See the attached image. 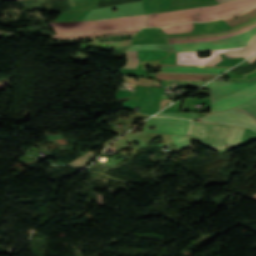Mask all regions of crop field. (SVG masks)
Segmentation results:
<instances>
[{"label":"crop field","instance_id":"5a996713","mask_svg":"<svg viewBox=\"0 0 256 256\" xmlns=\"http://www.w3.org/2000/svg\"><path fill=\"white\" fill-rule=\"evenodd\" d=\"M242 49V48H238ZM235 50V49H230ZM228 51V50H215L211 51V55L204 58H198L197 52H178V64H196V65H203L207 61L211 60L218 54ZM205 65V64H204Z\"/></svg>","mask_w":256,"mask_h":256},{"label":"crop field","instance_id":"f4fd0767","mask_svg":"<svg viewBox=\"0 0 256 256\" xmlns=\"http://www.w3.org/2000/svg\"><path fill=\"white\" fill-rule=\"evenodd\" d=\"M232 126L192 121L188 136H193L218 152H223Z\"/></svg>","mask_w":256,"mask_h":256},{"label":"crop field","instance_id":"ac0d7876","mask_svg":"<svg viewBox=\"0 0 256 256\" xmlns=\"http://www.w3.org/2000/svg\"><path fill=\"white\" fill-rule=\"evenodd\" d=\"M256 78L249 80V81H242V82H218V81H212L211 83L203 86L202 88H206V89H211V102H212V109L211 112L215 111V100L216 102H221V101H227V100H231L241 94H244L254 88H256ZM254 83V84H252ZM252 84V85H249ZM249 85V86H247ZM247 86V87H244ZM244 87V88H242ZM242 88V89H240ZM240 89V90H238ZM238 90V91H236ZM236 91V92H234ZM234 92V93H232ZM232 93V94H230ZM230 94V95H228ZM223 95H228V96H224V97H217V96H223ZM256 98V89L241 95L231 101H227V102H221V103H216V111L218 110H224V109H228L231 108L233 106L239 105L241 103L247 102L251 99Z\"/></svg>","mask_w":256,"mask_h":256},{"label":"crop field","instance_id":"00972430","mask_svg":"<svg viewBox=\"0 0 256 256\" xmlns=\"http://www.w3.org/2000/svg\"><path fill=\"white\" fill-rule=\"evenodd\" d=\"M122 134H118V135H116L115 137H113L111 140H109L108 142H106V145H105V147L106 146H108L110 143H112L115 139H117L119 136H121Z\"/></svg>","mask_w":256,"mask_h":256},{"label":"crop field","instance_id":"5142ce71","mask_svg":"<svg viewBox=\"0 0 256 256\" xmlns=\"http://www.w3.org/2000/svg\"><path fill=\"white\" fill-rule=\"evenodd\" d=\"M162 29L166 32V34L186 33L193 30V24L188 23V24H182V25H177V26H172V27L162 28Z\"/></svg>","mask_w":256,"mask_h":256},{"label":"crop field","instance_id":"3316defc","mask_svg":"<svg viewBox=\"0 0 256 256\" xmlns=\"http://www.w3.org/2000/svg\"><path fill=\"white\" fill-rule=\"evenodd\" d=\"M139 29H123V30H115V31H104V32H96V33H76V34H61L54 35L52 39H68V38H88V37H96L103 35H121V34H132L137 32Z\"/></svg>","mask_w":256,"mask_h":256},{"label":"crop field","instance_id":"d9b57169","mask_svg":"<svg viewBox=\"0 0 256 256\" xmlns=\"http://www.w3.org/2000/svg\"><path fill=\"white\" fill-rule=\"evenodd\" d=\"M132 40L122 41V42H110V43H89L81 45V48H93V47H103V46H122V45H131Z\"/></svg>","mask_w":256,"mask_h":256},{"label":"crop field","instance_id":"d1516ede","mask_svg":"<svg viewBox=\"0 0 256 256\" xmlns=\"http://www.w3.org/2000/svg\"><path fill=\"white\" fill-rule=\"evenodd\" d=\"M156 79L171 80H211L216 75H200V74H174V73H156Z\"/></svg>","mask_w":256,"mask_h":256},{"label":"crop field","instance_id":"d8731c3e","mask_svg":"<svg viewBox=\"0 0 256 256\" xmlns=\"http://www.w3.org/2000/svg\"><path fill=\"white\" fill-rule=\"evenodd\" d=\"M190 122L191 120L152 117L146 121L143 131L186 136ZM148 126L157 127V131L148 130Z\"/></svg>","mask_w":256,"mask_h":256},{"label":"crop field","instance_id":"8a807250","mask_svg":"<svg viewBox=\"0 0 256 256\" xmlns=\"http://www.w3.org/2000/svg\"><path fill=\"white\" fill-rule=\"evenodd\" d=\"M256 5V0H236L216 6L186 9L161 14H149L147 27L168 26L190 21H212L243 12Z\"/></svg>","mask_w":256,"mask_h":256},{"label":"crop field","instance_id":"22f410ed","mask_svg":"<svg viewBox=\"0 0 256 256\" xmlns=\"http://www.w3.org/2000/svg\"><path fill=\"white\" fill-rule=\"evenodd\" d=\"M254 53H256V35L253 37V39L248 43V45L243 50L224 52V54L228 58H239L241 56L247 58Z\"/></svg>","mask_w":256,"mask_h":256},{"label":"crop field","instance_id":"92a150f3","mask_svg":"<svg viewBox=\"0 0 256 256\" xmlns=\"http://www.w3.org/2000/svg\"><path fill=\"white\" fill-rule=\"evenodd\" d=\"M252 101H254L255 104H256V99H254V100H252ZM252 101H249V102H247V103H245V104H243V105H241V106H239V107H237V108H239V109H241V110L247 112L248 114H250L251 116H253L254 118H256V116H255V115H256V106H255L254 102L251 103V104H249V105H247V106H245V107H243V108L246 109V110H248V111H250V112H252V113L255 114V115H253L252 113H250V112H248V111H246V110H244V109L241 108L242 106H244V105H246V104H248V103H250V102H252Z\"/></svg>","mask_w":256,"mask_h":256},{"label":"crop field","instance_id":"e52e79f7","mask_svg":"<svg viewBox=\"0 0 256 256\" xmlns=\"http://www.w3.org/2000/svg\"><path fill=\"white\" fill-rule=\"evenodd\" d=\"M197 121L244 126L256 132V120L235 108L228 111L209 114Z\"/></svg>","mask_w":256,"mask_h":256},{"label":"crop field","instance_id":"733c2abd","mask_svg":"<svg viewBox=\"0 0 256 256\" xmlns=\"http://www.w3.org/2000/svg\"><path fill=\"white\" fill-rule=\"evenodd\" d=\"M94 156V154L91 152L87 153L86 155L82 156L78 160L70 163L69 165H73L76 167H79L81 169L86 168V165L90 164L91 162L89 161L90 157Z\"/></svg>","mask_w":256,"mask_h":256},{"label":"crop field","instance_id":"412701ff","mask_svg":"<svg viewBox=\"0 0 256 256\" xmlns=\"http://www.w3.org/2000/svg\"><path fill=\"white\" fill-rule=\"evenodd\" d=\"M141 20H142V16H138V17L114 19V22L115 24H119V23L132 24V23H141ZM114 22L113 20L91 22L90 31H103V30L120 29V28H127V27H145L146 15L143 16L142 24L114 25ZM49 25L56 31V33L85 32V31H89L90 21L89 22L49 23Z\"/></svg>","mask_w":256,"mask_h":256},{"label":"crop field","instance_id":"730fd06b","mask_svg":"<svg viewBox=\"0 0 256 256\" xmlns=\"http://www.w3.org/2000/svg\"><path fill=\"white\" fill-rule=\"evenodd\" d=\"M251 199L256 200V194L251 197Z\"/></svg>","mask_w":256,"mask_h":256},{"label":"crop field","instance_id":"a9b5d70f","mask_svg":"<svg viewBox=\"0 0 256 256\" xmlns=\"http://www.w3.org/2000/svg\"><path fill=\"white\" fill-rule=\"evenodd\" d=\"M256 59V55L253 56L252 58H250L249 60H247L250 64Z\"/></svg>","mask_w":256,"mask_h":256},{"label":"crop field","instance_id":"4a817a6b","mask_svg":"<svg viewBox=\"0 0 256 256\" xmlns=\"http://www.w3.org/2000/svg\"><path fill=\"white\" fill-rule=\"evenodd\" d=\"M128 64L124 68H134L137 66L138 60V51H127Z\"/></svg>","mask_w":256,"mask_h":256},{"label":"crop field","instance_id":"cbeb9de0","mask_svg":"<svg viewBox=\"0 0 256 256\" xmlns=\"http://www.w3.org/2000/svg\"><path fill=\"white\" fill-rule=\"evenodd\" d=\"M246 128L233 126L228 138V146L239 144Z\"/></svg>","mask_w":256,"mask_h":256},{"label":"crop field","instance_id":"bc2a9ffb","mask_svg":"<svg viewBox=\"0 0 256 256\" xmlns=\"http://www.w3.org/2000/svg\"><path fill=\"white\" fill-rule=\"evenodd\" d=\"M197 115H198V113H179V114L159 113V114H157L155 116H173V117L195 119V118H197Z\"/></svg>","mask_w":256,"mask_h":256},{"label":"crop field","instance_id":"214f88e0","mask_svg":"<svg viewBox=\"0 0 256 256\" xmlns=\"http://www.w3.org/2000/svg\"><path fill=\"white\" fill-rule=\"evenodd\" d=\"M177 148L190 146L186 137L171 135Z\"/></svg>","mask_w":256,"mask_h":256},{"label":"crop field","instance_id":"dafd665d","mask_svg":"<svg viewBox=\"0 0 256 256\" xmlns=\"http://www.w3.org/2000/svg\"><path fill=\"white\" fill-rule=\"evenodd\" d=\"M222 59L219 56H217L215 59L211 60L210 62L206 63L205 65H209V66H214L216 65L218 62H220Z\"/></svg>","mask_w":256,"mask_h":256},{"label":"crop field","instance_id":"4177f3b9","mask_svg":"<svg viewBox=\"0 0 256 256\" xmlns=\"http://www.w3.org/2000/svg\"><path fill=\"white\" fill-rule=\"evenodd\" d=\"M219 3H223V2H226V1H229V0H217Z\"/></svg>","mask_w":256,"mask_h":256},{"label":"crop field","instance_id":"dd49c442","mask_svg":"<svg viewBox=\"0 0 256 256\" xmlns=\"http://www.w3.org/2000/svg\"><path fill=\"white\" fill-rule=\"evenodd\" d=\"M235 16V15H234ZM234 16L224 19L233 30L225 33L197 35L189 37H176L168 38L169 43H180V42H193V41H207L213 39L226 38L238 33H242L254 26H256V7L248 10L247 12L238 14V20H234Z\"/></svg>","mask_w":256,"mask_h":256},{"label":"crop field","instance_id":"28ad6ade","mask_svg":"<svg viewBox=\"0 0 256 256\" xmlns=\"http://www.w3.org/2000/svg\"><path fill=\"white\" fill-rule=\"evenodd\" d=\"M228 68H210V67H176L160 66L161 71L166 72H188V73H217L221 74Z\"/></svg>","mask_w":256,"mask_h":256},{"label":"crop field","instance_id":"34b2d1b8","mask_svg":"<svg viewBox=\"0 0 256 256\" xmlns=\"http://www.w3.org/2000/svg\"><path fill=\"white\" fill-rule=\"evenodd\" d=\"M256 33V27L249 31L236 35L230 38L209 41V42H196V43H184L174 44L176 51H202V50H213V49H229L246 46V44L252 39ZM172 45H138L139 50H164V51H175ZM137 46L131 47L128 50H138Z\"/></svg>","mask_w":256,"mask_h":256}]
</instances>
